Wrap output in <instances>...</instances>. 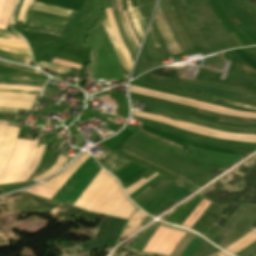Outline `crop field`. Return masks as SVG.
Instances as JSON below:
<instances>
[{"mask_svg":"<svg viewBox=\"0 0 256 256\" xmlns=\"http://www.w3.org/2000/svg\"><path fill=\"white\" fill-rule=\"evenodd\" d=\"M130 91L141 93V94H146V95H151V96L163 98V99H166V100H170V101H174V102H178V103H182V104H186V105H189V106H193V107H197V108H201V109H205V110H210V111H214V112H218V113H222V114L256 118V116H250V115H243V114L231 113V112H226V111L214 110V109H210V108H206V107H202V106H198V105H194V104H190V103H186V102H182V101H178V100H174V99H170V98H166V97H162V96H158V95H153V94H149V93H145V92L132 90V89H130Z\"/></svg>","mask_w":256,"mask_h":256,"instance_id":"crop-field-19","label":"crop field"},{"mask_svg":"<svg viewBox=\"0 0 256 256\" xmlns=\"http://www.w3.org/2000/svg\"><path fill=\"white\" fill-rule=\"evenodd\" d=\"M102 22H103V24H104V26H105V28H106V30H107L108 36H109V38H110V41H111V43H112V45H113V48H114V50H115V52H116V54H117V57H118V59H119L121 65L123 66L124 70H125L126 72H128V74H129V73H130V70H129V68H128V66H127V64H126V62H125V60H124V58H123V56H122L120 50H119V47H118V45H117V43H116L115 37H114V35H113L112 29H111V27H110V24H109L107 18H105Z\"/></svg>","mask_w":256,"mask_h":256,"instance_id":"crop-field-17","label":"crop field"},{"mask_svg":"<svg viewBox=\"0 0 256 256\" xmlns=\"http://www.w3.org/2000/svg\"><path fill=\"white\" fill-rule=\"evenodd\" d=\"M125 10H126V14H127L129 23H130V25H131V27H132V29H133V32H134V34H135V36H136V38H137V40H138V42H139V44H140L141 42L139 41V38H138V36H137V34H136V32H135V30H134L132 24H131L130 17H129V14H128V10H127V9H125Z\"/></svg>","mask_w":256,"mask_h":256,"instance_id":"crop-field-42","label":"crop field"},{"mask_svg":"<svg viewBox=\"0 0 256 256\" xmlns=\"http://www.w3.org/2000/svg\"><path fill=\"white\" fill-rule=\"evenodd\" d=\"M0 58L29 65L32 58L0 51Z\"/></svg>","mask_w":256,"mask_h":256,"instance_id":"crop-field-22","label":"crop field"},{"mask_svg":"<svg viewBox=\"0 0 256 256\" xmlns=\"http://www.w3.org/2000/svg\"><path fill=\"white\" fill-rule=\"evenodd\" d=\"M209 202L203 200L199 206L194 210V212L186 219V221L182 224V226L190 228L192 224L198 219V217L202 214L205 208L208 206Z\"/></svg>","mask_w":256,"mask_h":256,"instance_id":"crop-field-20","label":"crop field"},{"mask_svg":"<svg viewBox=\"0 0 256 256\" xmlns=\"http://www.w3.org/2000/svg\"><path fill=\"white\" fill-rule=\"evenodd\" d=\"M25 191L32 192V193H35L37 195H40L42 197L49 198V199H51L53 197V195L56 193V191L50 190L48 188H45V187H42L39 185L32 187L28 190H25Z\"/></svg>","mask_w":256,"mask_h":256,"instance_id":"crop-field-24","label":"crop field"},{"mask_svg":"<svg viewBox=\"0 0 256 256\" xmlns=\"http://www.w3.org/2000/svg\"><path fill=\"white\" fill-rule=\"evenodd\" d=\"M19 128L0 122V176L3 173L14 150L16 135Z\"/></svg>","mask_w":256,"mask_h":256,"instance_id":"crop-field-7","label":"crop field"},{"mask_svg":"<svg viewBox=\"0 0 256 256\" xmlns=\"http://www.w3.org/2000/svg\"><path fill=\"white\" fill-rule=\"evenodd\" d=\"M38 141L39 140H34L29 159H28L27 163L25 164L23 170L21 171L16 182H22V181L27 180L28 177L31 175V173L36 168L38 161L42 155L44 146H45V145H39L38 148H36Z\"/></svg>","mask_w":256,"mask_h":256,"instance_id":"crop-field-10","label":"crop field"},{"mask_svg":"<svg viewBox=\"0 0 256 256\" xmlns=\"http://www.w3.org/2000/svg\"><path fill=\"white\" fill-rule=\"evenodd\" d=\"M113 178L114 177H112L110 174L102 169L98 176L95 178V180L92 182V184L90 183L91 185L76 201L74 206L88 210Z\"/></svg>","mask_w":256,"mask_h":256,"instance_id":"crop-field-6","label":"crop field"},{"mask_svg":"<svg viewBox=\"0 0 256 256\" xmlns=\"http://www.w3.org/2000/svg\"><path fill=\"white\" fill-rule=\"evenodd\" d=\"M0 39L25 42L22 36L3 30H0Z\"/></svg>","mask_w":256,"mask_h":256,"instance_id":"crop-field-26","label":"crop field"},{"mask_svg":"<svg viewBox=\"0 0 256 256\" xmlns=\"http://www.w3.org/2000/svg\"><path fill=\"white\" fill-rule=\"evenodd\" d=\"M13 5H14V0H8L7 6L5 8L4 14L0 22L8 24L11 13H12Z\"/></svg>","mask_w":256,"mask_h":256,"instance_id":"crop-field-27","label":"crop field"},{"mask_svg":"<svg viewBox=\"0 0 256 256\" xmlns=\"http://www.w3.org/2000/svg\"><path fill=\"white\" fill-rule=\"evenodd\" d=\"M0 64H1V65H5V66H8V67L23 69V70L35 72V73L40 74V75H44L42 72H40V71H38V70H34V69H30V68H25V67H21V66H17V65L8 63V62H4V63H0ZM45 76H46V75H45Z\"/></svg>","mask_w":256,"mask_h":256,"instance_id":"crop-field-32","label":"crop field"},{"mask_svg":"<svg viewBox=\"0 0 256 256\" xmlns=\"http://www.w3.org/2000/svg\"><path fill=\"white\" fill-rule=\"evenodd\" d=\"M42 88L0 84V91L37 94ZM42 91V90H41Z\"/></svg>","mask_w":256,"mask_h":256,"instance_id":"crop-field-18","label":"crop field"},{"mask_svg":"<svg viewBox=\"0 0 256 256\" xmlns=\"http://www.w3.org/2000/svg\"><path fill=\"white\" fill-rule=\"evenodd\" d=\"M123 14H124V16H125V18H126V20H127V17H126L125 11L123 12ZM127 23H128V20H127ZM128 25H129V23H128ZM129 28H130V25H129ZM130 30H131V28H130ZM131 33H132V30H131ZM132 35H133V33H132ZM133 37H134V39H135V41H136V43H137V45H138V47H139V44H138V42H137V40H136V38H135V36H134V35H133Z\"/></svg>","mask_w":256,"mask_h":256,"instance_id":"crop-field-44","label":"crop field"},{"mask_svg":"<svg viewBox=\"0 0 256 256\" xmlns=\"http://www.w3.org/2000/svg\"><path fill=\"white\" fill-rule=\"evenodd\" d=\"M154 20L165 40L169 53L171 55L181 53V50L160 11V7L157 9Z\"/></svg>","mask_w":256,"mask_h":256,"instance_id":"crop-field-9","label":"crop field"},{"mask_svg":"<svg viewBox=\"0 0 256 256\" xmlns=\"http://www.w3.org/2000/svg\"><path fill=\"white\" fill-rule=\"evenodd\" d=\"M34 102L35 100L28 98L0 96V107L31 110Z\"/></svg>","mask_w":256,"mask_h":256,"instance_id":"crop-field-11","label":"crop field"},{"mask_svg":"<svg viewBox=\"0 0 256 256\" xmlns=\"http://www.w3.org/2000/svg\"><path fill=\"white\" fill-rule=\"evenodd\" d=\"M119 186L120 184L114 178L89 210L98 212L99 209L104 205V203ZM124 196V192L122 191L121 187H119L105 203V205L100 209L99 212L109 215ZM136 208L137 207L125 196L110 215L128 219L130 215L136 210Z\"/></svg>","mask_w":256,"mask_h":256,"instance_id":"crop-field-1","label":"crop field"},{"mask_svg":"<svg viewBox=\"0 0 256 256\" xmlns=\"http://www.w3.org/2000/svg\"><path fill=\"white\" fill-rule=\"evenodd\" d=\"M89 156L90 155L88 153L84 152L59 175L41 185L58 191L60 187L66 182V180L72 175V173L79 167V165Z\"/></svg>","mask_w":256,"mask_h":256,"instance_id":"crop-field-8","label":"crop field"},{"mask_svg":"<svg viewBox=\"0 0 256 256\" xmlns=\"http://www.w3.org/2000/svg\"><path fill=\"white\" fill-rule=\"evenodd\" d=\"M32 142L33 141L17 139L16 148L3 175L0 178V184L15 182L29 156Z\"/></svg>","mask_w":256,"mask_h":256,"instance_id":"crop-field-4","label":"crop field"},{"mask_svg":"<svg viewBox=\"0 0 256 256\" xmlns=\"http://www.w3.org/2000/svg\"><path fill=\"white\" fill-rule=\"evenodd\" d=\"M130 88L140 90V91L149 92V93H153V94H158V95H162V96H167V97H171V98H175V99L195 103V104H198V105H202V106H206V107H210V108H214V109H220V110H226V111H231V112H238V113L256 115V113H246V112L234 111V110H230L228 108H224V107H220V106H216V105H212V104H208V103L193 101V100H189V99H185V98H181V97H177V96H174V95H170V94H166V93H162V92H158V91H153V90H149V89L139 88V87H135V86H130Z\"/></svg>","mask_w":256,"mask_h":256,"instance_id":"crop-field-12","label":"crop field"},{"mask_svg":"<svg viewBox=\"0 0 256 256\" xmlns=\"http://www.w3.org/2000/svg\"><path fill=\"white\" fill-rule=\"evenodd\" d=\"M146 215L147 214H145L140 209L137 210L129 220L119 240L133 233Z\"/></svg>","mask_w":256,"mask_h":256,"instance_id":"crop-field-15","label":"crop field"},{"mask_svg":"<svg viewBox=\"0 0 256 256\" xmlns=\"http://www.w3.org/2000/svg\"><path fill=\"white\" fill-rule=\"evenodd\" d=\"M65 156H59L56 164L54 166H52L50 169H48L46 172H44L42 175L32 179L34 181H39L45 177H47L48 175L52 174L53 172H55L56 170L62 168L61 166L66 162V158H64Z\"/></svg>","mask_w":256,"mask_h":256,"instance_id":"crop-field-23","label":"crop field"},{"mask_svg":"<svg viewBox=\"0 0 256 256\" xmlns=\"http://www.w3.org/2000/svg\"><path fill=\"white\" fill-rule=\"evenodd\" d=\"M132 9H133V11H134V13H135V15H136L138 21H139V24H140V26H141L142 32H143V34H144V32H145V30H146V27H145L144 22H143V20H142L140 14H139V12H138V8H137V7H133Z\"/></svg>","mask_w":256,"mask_h":256,"instance_id":"crop-field-35","label":"crop field"},{"mask_svg":"<svg viewBox=\"0 0 256 256\" xmlns=\"http://www.w3.org/2000/svg\"><path fill=\"white\" fill-rule=\"evenodd\" d=\"M184 233L183 231L166 229L160 226L143 251L169 255Z\"/></svg>","mask_w":256,"mask_h":256,"instance_id":"crop-field-5","label":"crop field"},{"mask_svg":"<svg viewBox=\"0 0 256 256\" xmlns=\"http://www.w3.org/2000/svg\"><path fill=\"white\" fill-rule=\"evenodd\" d=\"M53 63H57V64H61V65H65V66H72L74 68H81V65H77V64H73V63H70V62H67V61H64V60H60V59H56L54 58Z\"/></svg>","mask_w":256,"mask_h":256,"instance_id":"crop-field-34","label":"crop field"},{"mask_svg":"<svg viewBox=\"0 0 256 256\" xmlns=\"http://www.w3.org/2000/svg\"><path fill=\"white\" fill-rule=\"evenodd\" d=\"M126 2H127V7H128V9H129L130 17H131V20H132V22H133L134 28L136 29L137 34H138V36H139V38H140V40H141L143 34H142V32H141V29H140V27H139V24H138V22H137L135 16H134V13H133V11H132V9H131V1L128 0V1H126Z\"/></svg>","mask_w":256,"mask_h":256,"instance_id":"crop-field-28","label":"crop field"},{"mask_svg":"<svg viewBox=\"0 0 256 256\" xmlns=\"http://www.w3.org/2000/svg\"><path fill=\"white\" fill-rule=\"evenodd\" d=\"M20 3H21V0H17V4H16V7H15V9H14V13H13V18H12L11 24H14V23H15L16 16H17V12H18V8H19V6H20Z\"/></svg>","mask_w":256,"mask_h":256,"instance_id":"crop-field-37","label":"crop field"},{"mask_svg":"<svg viewBox=\"0 0 256 256\" xmlns=\"http://www.w3.org/2000/svg\"><path fill=\"white\" fill-rule=\"evenodd\" d=\"M0 95L22 96V97H28V98H33V99L36 98L34 95H23V94H14V93H2V92H0Z\"/></svg>","mask_w":256,"mask_h":256,"instance_id":"crop-field-38","label":"crop field"},{"mask_svg":"<svg viewBox=\"0 0 256 256\" xmlns=\"http://www.w3.org/2000/svg\"><path fill=\"white\" fill-rule=\"evenodd\" d=\"M255 240H256V229H254L253 231H251L250 233H248L247 235L239 239L237 242H235L225 250H227L228 252L234 255L240 250H242L243 248H245L246 246H248L249 244H251L252 242H254Z\"/></svg>","mask_w":256,"mask_h":256,"instance_id":"crop-field-13","label":"crop field"},{"mask_svg":"<svg viewBox=\"0 0 256 256\" xmlns=\"http://www.w3.org/2000/svg\"><path fill=\"white\" fill-rule=\"evenodd\" d=\"M31 1L32 0H24L17 21L23 20L24 13H25L26 9L28 8L29 4L31 3Z\"/></svg>","mask_w":256,"mask_h":256,"instance_id":"crop-field-33","label":"crop field"},{"mask_svg":"<svg viewBox=\"0 0 256 256\" xmlns=\"http://www.w3.org/2000/svg\"><path fill=\"white\" fill-rule=\"evenodd\" d=\"M116 2H117L118 14H119L120 19H121V22H122V24H123L125 33H126V35H127V37H128V40H129V42H130V44H131V46H132V48L134 49L135 54H136L138 47H137V45H136V43H135V41H134V39H133V37H132V35H131L129 29H128L126 20H125L123 14H122V5H121V1H120V0H116Z\"/></svg>","mask_w":256,"mask_h":256,"instance_id":"crop-field-21","label":"crop field"},{"mask_svg":"<svg viewBox=\"0 0 256 256\" xmlns=\"http://www.w3.org/2000/svg\"><path fill=\"white\" fill-rule=\"evenodd\" d=\"M229 256V255H227L226 253H224V252H222V251H220V252H218V253H215V254H213V255H211V256Z\"/></svg>","mask_w":256,"mask_h":256,"instance_id":"crop-field-43","label":"crop field"},{"mask_svg":"<svg viewBox=\"0 0 256 256\" xmlns=\"http://www.w3.org/2000/svg\"><path fill=\"white\" fill-rule=\"evenodd\" d=\"M29 8L39 10V11L48 12V13L58 14V15H62V16H67V17H69V15L72 13L71 10L54 7V6H49V5L37 3L34 1H32Z\"/></svg>","mask_w":256,"mask_h":256,"instance_id":"crop-field-16","label":"crop field"},{"mask_svg":"<svg viewBox=\"0 0 256 256\" xmlns=\"http://www.w3.org/2000/svg\"><path fill=\"white\" fill-rule=\"evenodd\" d=\"M67 20L66 17L28 9L22 29L59 35Z\"/></svg>","mask_w":256,"mask_h":256,"instance_id":"crop-field-3","label":"crop field"},{"mask_svg":"<svg viewBox=\"0 0 256 256\" xmlns=\"http://www.w3.org/2000/svg\"><path fill=\"white\" fill-rule=\"evenodd\" d=\"M6 27H7V25L6 24H2V23H0V29H6Z\"/></svg>","mask_w":256,"mask_h":256,"instance_id":"crop-field-45","label":"crop field"},{"mask_svg":"<svg viewBox=\"0 0 256 256\" xmlns=\"http://www.w3.org/2000/svg\"><path fill=\"white\" fill-rule=\"evenodd\" d=\"M157 175V173H155L154 175H152L150 178L146 179H141L137 182H135L134 184H132L130 187L124 189L125 193L127 195L132 194L133 192H135L137 189H139L141 186H143L146 182H148L150 179H152L153 177H155Z\"/></svg>","mask_w":256,"mask_h":256,"instance_id":"crop-field-25","label":"crop field"},{"mask_svg":"<svg viewBox=\"0 0 256 256\" xmlns=\"http://www.w3.org/2000/svg\"><path fill=\"white\" fill-rule=\"evenodd\" d=\"M0 49L5 50V51H9V52H12V53H16V54H20V55H25V56L31 57L29 50L17 49V48L5 47V46H0Z\"/></svg>","mask_w":256,"mask_h":256,"instance_id":"crop-field-29","label":"crop field"},{"mask_svg":"<svg viewBox=\"0 0 256 256\" xmlns=\"http://www.w3.org/2000/svg\"><path fill=\"white\" fill-rule=\"evenodd\" d=\"M132 115L136 116H142L146 117L161 123H165L174 127H178L187 131L211 136V137H218V138H225V139H231V140H239V141H247V142H255L256 143V135H246V134H235V133H227V132H222L202 126H198L195 124L191 123H185V122H179V121H174L171 119H168L166 117L158 116V115H153V114H147V113H141L137 111L132 110Z\"/></svg>","mask_w":256,"mask_h":256,"instance_id":"crop-field-2","label":"crop field"},{"mask_svg":"<svg viewBox=\"0 0 256 256\" xmlns=\"http://www.w3.org/2000/svg\"><path fill=\"white\" fill-rule=\"evenodd\" d=\"M212 97L215 98L216 100L220 101V102H223V103H227V104H231V105H236V106H240V107H244V108L256 109V107H253V106L243 105V104H240V103H237V102L225 100V99L214 97V96H212Z\"/></svg>","mask_w":256,"mask_h":256,"instance_id":"crop-field-31","label":"crop field"},{"mask_svg":"<svg viewBox=\"0 0 256 256\" xmlns=\"http://www.w3.org/2000/svg\"><path fill=\"white\" fill-rule=\"evenodd\" d=\"M149 33H150V35H151V37H152V39H153V41H154L155 46H156V47L160 46L159 43H158V41H157V38H156V36H155V34H154V32H153V30H152L151 27H150Z\"/></svg>","mask_w":256,"mask_h":256,"instance_id":"crop-field-39","label":"crop field"},{"mask_svg":"<svg viewBox=\"0 0 256 256\" xmlns=\"http://www.w3.org/2000/svg\"><path fill=\"white\" fill-rule=\"evenodd\" d=\"M18 110L16 109H2L0 108V113H15L17 114Z\"/></svg>","mask_w":256,"mask_h":256,"instance_id":"crop-field-41","label":"crop field"},{"mask_svg":"<svg viewBox=\"0 0 256 256\" xmlns=\"http://www.w3.org/2000/svg\"><path fill=\"white\" fill-rule=\"evenodd\" d=\"M128 161L124 160L120 156L112 153L105 159H103L101 162H99L107 171L110 173L116 171L118 168H120L122 165L127 163Z\"/></svg>","mask_w":256,"mask_h":256,"instance_id":"crop-field-14","label":"crop field"},{"mask_svg":"<svg viewBox=\"0 0 256 256\" xmlns=\"http://www.w3.org/2000/svg\"><path fill=\"white\" fill-rule=\"evenodd\" d=\"M0 45L29 49L26 43L0 40Z\"/></svg>","mask_w":256,"mask_h":256,"instance_id":"crop-field-30","label":"crop field"},{"mask_svg":"<svg viewBox=\"0 0 256 256\" xmlns=\"http://www.w3.org/2000/svg\"><path fill=\"white\" fill-rule=\"evenodd\" d=\"M7 0H0V19L6 6Z\"/></svg>","mask_w":256,"mask_h":256,"instance_id":"crop-field-40","label":"crop field"},{"mask_svg":"<svg viewBox=\"0 0 256 256\" xmlns=\"http://www.w3.org/2000/svg\"><path fill=\"white\" fill-rule=\"evenodd\" d=\"M137 4H138L140 13H141V15H142V17H143V19H144V22H145V24H146V27H147L148 20H147V18H146V15H145V13H144V10H143V8H142V6H141V4H140V0H137Z\"/></svg>","mask_w":256,"mask_h":256,"instance_id":"crop-field-36","label":"crop field"}]
</instances>
